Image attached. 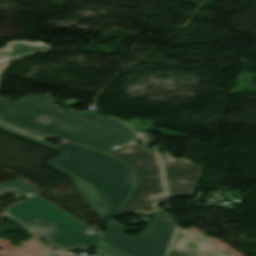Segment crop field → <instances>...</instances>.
<instances>
[{"label": "crop field", "mask_w": 256, "mask_h": 256, "mask_svg": "<svg viewBox=\"0 0 256 256\" xmlns=\"http://www.w3.org/2000/svg\"><path fill=\"white\" fill-rule=\"evenodd\" d=\"M50 94L28 96L15 102L0 97V119L44 137L57 136L102 151L133 139L125 123L94 111L61 110ZM96 116L95 121L84 119Z\"/></svg>", "instance_id": "crop-field-1"}, {"label": "crop field", "mask_w": 256, "mask_h": 256, "mask_svg": "<svg viewBox=\"0 0 256 256\" xmlns=\"http://www.w3.org/2000/svg\"><path fill=\"white\" fill-rule=\"evenodd\" d=\"M0 130L61 151L63 156L47 164L70 176L90 206L109 226L128 197L132 186L131 168L96 150L66 142L59 146L0 121Z\"/></svg>", "instance_id": "crop-field-2"}, {"label": "crop field", "mask_w": 256, "mask_h": 256, "mask_svg": "<svg viewBox=\"0 0 256 256\" xmlns=\"http://www.w3.org/2000/svg\"><path fill=\"white\" fill-rule=\"evenodd\" d=\"M10 192L30 197L4 211L10 220L38 233L62 250L87 249L99 244L102 234L37 196L38 193L20 178L0 185V196Z\"/></svg>", "instance_id": "crop-field-3"}, {"label": "crop field", "mask_w": 256, "mask_h": 256, "mask_svg": "<svg viewBox=\"0 0 256 256\" xmlns=\"http://www.w3.org/2000/svg\"><path fill=\"white\" fill-rule=\"evenodd\" d=\"M151 215L155 218L139 236L131 239L123 235L127 230L113 222L103 241L131 256H165L175 232V224L160 210Z\"/></svg>", "instance_id": "crop-field-4"}, {"label": "crop field", "mask_w": 256, "mask_h": 256, "mask_svg": "<svg viewBox=\"0 0 256 256\" xmlns=\"http://www.w3.org/2000/svg\"><path fill=\"white\" fill-rule=\"evenodd\" d=\"M165 168V181L171 197L191 195L202 166L184 158L174 159L168 152L160 154Z\"/></svg>", "instance_id": "crop-field-5"}, {"label": "crop field", "mask_w": 256, "mask_h": 256, "mask_svg": "<svg viewBox=\"0 0 256 256\" xmlns=\"http://www.w3.org/2000/svg\"><path fill=\"white\" fill-rule=\"evenodd\" d=\"M134 191L118 216L137 212L150 213L157 204L167 200L161 177L135 178Z\"/></svg>", "instance_id": "crop-field-6"}, {"label": "crop field", "mask_w": 256, "mask_h": 256, "mask_svg": "<svg viewBox=\"0 0 256 256\" xmlns=\"http://www.w3.org/2000/svg\"><path fill=\"white\" fill-rule=\"evenodd\" d=\"M108 154L129 164L135 171V177L162 176L156 153L143 148L135 141Z\"/></svg>", "instance_id": "crop-field-7"}, {"label": "crop field", "mask_w": 256, "mask_h": 256, "mask_svg": "<svg viewBox=\"0 0 256 256\" xmlns=\"http://www.w3.org/2000/svg\"><path fill=\"white\" fill-rule=\"evenodd\" d=\"M196 243L199 249L185 246L186 242ZM169 256H239L224 250H217L210 238L198 235L183 228L178 229Z\"/></svg>", "instance_id": "crop-field-8"}, {"label": "crop field", "mask_w": 256, "mask_h": 256, "mask_svg": "<svg viewBox=\"0 0 256 256\" xmlns=\"http://www.w3.org/2000/svg\"><path fill=\"white\" fill-rule=\"evenodd\" d=\"M49 49H52V46L41 42L11 41L8 42L6 48L0 49V64L10 60L42 53Z\"/></svg>", "instance_id": "crop-field-9"}, {"label": "crop field", "mask_w": 256, "mask_h": 256, "mask_svg": "<svg viewBox=\"0 0 256 256\" xmlns=\"http://www.w3.org/2000/svg\"><path fill=\"white\" fill-rule=\"evenodd\" d=\"M144 122H149V125H145ZM127 123L129 125H131L133 128H137L139 130V132H145L149 129H151L150 125L153 124V120L150 121H140L139 119L135 118V119H131L129 121H127Z\"/></svg>", "instance_id": "crop-field-10"}, {"label": "crop field", "mask_w": 256, "mask_h": 256, "mask_svg": "<svg viewBox=\"0 0 256 256\" xmlns=\"http://www.w3.org/2000/svg\"><path fill=\"white\" fill-rule=\"evenodd\" d=\"M100 247L109 251L110 253H112L116 256H130V255L124 253L123 251H121V250H119V249H117V248H115V247H113V246H111V245H109V244H107L103 241H102Z\"/></svg>", "instance_id": "crop-field-11"}, {"label": "crop field", "mask_w": 256, "mask_h": 256, "mask_svg": "<svg viewBox=\"0 0 256 256\" xmlns=\"http://www.w3.org/2000/svg\"><path fill=\"white\" fill-rule=\"evenodd\" d=\"M40 256H70V255L61 251V250H59V251L43 254V255H40Z\"/></svg>", "instance_id": "crop-field-12"}, {"label": "crop field", "mask_w": 256, "mask_h": 256, "mask_svg": "<svg viewBox=\"0 0 256 256\" xmlns=\"http://www.w3.org/2000/svg\"><path fill=\"white\" fill-rule=\"evenodd\" d=\"M96 253H97L96 256H110L109 254L105 253L104 251H102L100 249Z\"/></svg>", "instance_id": "crop-field-13"}, {"label": "crop field", "mask_w": 256, "mask_h": 256, "mask_svg": "<svg viewBox=\"0 0 256 256\" xmlns=\"http://www.w3.org/2000/svg\"><path fill=\"white\" fill-rule=\"evenodd\" d=\"M5 71L6 70H4V69H0V82H1V80L3 78V75H4Z\"/></svg>", "instance_id": "crop-field-14"}, {"label": "crop field", "mask_w": 256, "mask_h": 256, "mask_svg": "<svg viewBox=\"0 0 256 256\" xmlns=\"http://www.w3.org/2000/svg\"><path fill=\"white\" fill-rule=\"evenodd\" d=\"M9 63H10V62H7V63L1 65L0 67H2V68H7V66H8Z\"/></svg>", "instance_id": "crop-field-15"}]
</instances>
